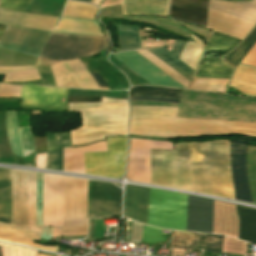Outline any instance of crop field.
I'll return each mask as SVG.
<instances>
[{
    "instance_id": "crop-field-31",
    "label": "crop field",
    "mask_w": 256,
    "mask_h": 256,
    "mask_svg": "<svg viewBox=\"0 0 256 256\" xmlns=\"http://www.w3.org/2000/svg\"><path fill=\"white\" fill-rule=\"evenodd\" d=\"M6 129L10 140L12 152L23 158L15 112H6Z\"/></svg>"
},
{
    "instance_id": "crop-field-19",
    "label": "crop field",
    "mask_w": 256,
    "mask_h": 256,
    "mask_svg": "<svg viewBox=\"0 0 256 256\" xmlns=\"http://www.w3.org/2000/svg\"><path fill=\"white\" fill-rule=\"evenodd\" d=\"M150 189L126 185L124 216L146 224Z\"/></svg>"
},
{
    "instance_id": "crop-field-2",
    "label": "crop field",
    "mask_w": 256,
    "mask_h": 256,
    "mask_svg": "<svg viewBox=\"0 0 256 256\" xmlns=\"http://www.w3.org/2000/svg\"><path fill=\"white\" fill-rule=\"evenodd\" d=\"M177 109L131 107L129 134L174 137L243 133L256 136V124L175 118Z\"/></svg>"
},
{
    "instance_id": "crop-field-15",
    "label": "crop field",
    "mask_w": 256,
    "mask_h": 256,
    "mask_svg": "<svg viewBox=\"0 0 256 256\" xmlns=\"http://www.w3.org/2000/svg\"><path fill=\"white\" fill-rule=\"evenodd\" d=\"M246 141L231 139L232 177L236 199L251 202L245 169Z\"/></svg>"
},
{
    "instance_id": "crop-field-45",
    "label": "crop field",
    "mask_w": 256,
    "mask_h": 256,
    "mask_svg": "<svg viewBox=\"0 0 256 256\" xmlns=\"http://www.w3.org/2000/svg\"><path fill=\"white\" fill-rule=\"evenodd\" d=\"M130 100H141V101H159V102H172L179 103L180 100L174 99H161V98H149V97H139V96H129Z\"/></svg>"
},
{
    "instance_id": "crop-field-13",
    "label": "crop field",
    "mask_w": 256,
    "mask_h": 256,
    "mask_svg": "<svg viewBox=\"0 0 256 256\" xmlns=\"http://www.w3.org/2000/svg\"><path fill=\"white\" fill-rule=\"evenodd\" d=\"M150 149L174 150V147L171 142H153L131 138L126 178L149 183Z\"/></svg>"
},
{
    "instance_id": "crop-field-25",
    "label": "crop field",
    "mask_w": 256,
    "mask_h": 256,
    "mask_svg": "<svg viewBox=\"0 0 256 256\" xmlns=\"http://www.w3.org/2000/svg\"><path fill=\"white\" fill-rule=\"evenodd\" d=\"M239 239L256 244V210L237 206Z\"/></svg>"
},
{
    "instance_id": "crop-field-4",
    "label": "crop field",
    "mask_w": 256,
    "mask_h": 256,
    "mask_svg": "<svg viewBox=\"0 0 256 256\" xmlns=\"http://www.w3.org/2000/svg\"><path fill=\"white\" fill-rule=\"evenodd\" d=\"M88 180L64 177V218H87ZM121 189L89 180L88 218L120 215Z\"/></svg>"
},
{
    "instance_id": "crop-field-40",
    "label": "crop field",
    "mask_w": 256,
    "mask_h": 256,
    "mask_svg": "<svg viewBox=\"0 0 256 256\" xmlns=\"http://www.w3.org/2000/svg\"><path fill=\"white\" fill-rule=\"evenodd\" d=\"M31 0H1L0 7L25 10Z\"/></svg>"
},
{
    "instance_id": "crop-field-6",
    "label": "crop field",
    "mask_w": 256,
    "mask_h": 256,
    "mask_svg": "<svg viewBox=\"0 0 256 256\" xmlns=\"http://www.w3.org/2000/svg\"><path fill=\"white\" fill-rule=\"evenodd\" d=\"M105 48L110 49L108 37L52 33L40 57L71 60L95 55Z\"/></svg>"
},
{
    "instance_id": "crop-field-10",
    "label": "crop field",
    "mask_w": 256,
    "mask_h": 256,
    "mask_svg": "<svg viewBox=\"0 0 256 256\" xmlns=\"http://www.w3.org/2000/svg\"><path fill=\"white\" fill-rule=\"evenodd\" d=\"M50 67L56 87L109 90L99 74H89L79 59L59 62Z\"/></svg>"
},
{
    "instance_id": "crop-field-21",
    "label": "crop field",
    "mask_w": 256,
    "mask_h": 256,
    "mask_svg": "<svg viewBox=\"0 0 256 256\" xmlns=\"http://www.w3.org/2000/svg\"><path fill=\"white\" fill-rule=\"evenodd\" d=\"M168 0H122L124 15L153 14L167 16Z\"/></svg>"
},
{
    "instance_id": "crop-field-43",
    "label": "crop field",
    "mask_w": 256,
    "mask_h": 256,
    "mask_svg": "<svg viewBox=\"0 0 256 256\" xmlns=\"http://www.w3.org/2000/svg\"><path fill=\"white\" fill-rule=\"evenodd\" d=\"M68 102H101V97L68 96Z\"/></svg>"
},
{
    "instance_id": "crop-field-8",
    "label": "crop field",
    "mask_w": 256,
    "mask_h": 256,
    "mask_svg": "<svg viewBox=\"0 0 256 256\" xmlns=\"http://www.w3.org/2000/svg\"><path fill=\"white\" fill-rule=\"evenodd\" d=\"M239 40L213 33L208 40L193 77L229 79L233 69L221 60Z\"/></svg>"
},
{
    "instance_id": "crop-field-7",
    "label": "crop field",
    "mask_w": 256,
    "mask_h": 256,
    "mask_svg": "<svg viewBox=\"0 0 256 256\" xmlns=\"http://www.w3.org/2000/svg\"><path fill=\"white\" fill-rule=\"evenodd\" d=\"M187 195L151 189L147 224L186 230Z\"/></svg>"
},
{
    "instance_id": "crop-field-50",
    "label": "crop field",
    "mask_w": 256,
    "mask_h": 256,
    "mask_svg": "<svg viewBox=\"0 0 256 256\" xmlns=\"http://www.w3.org/2000/svg\"><path fill=\"white\" fill-rule=\"evenodd\" d=\"M80 1H86V2H89L90 0H80Z\"/></svg>"
},
{
    "instance_id": "crop-field-30",
    "label": "crop field",
    "mask_w": 256,
    "mask_h": 256,
    "mask_svg": "<svg viewBox=\"0 0 256 256\" xmlns=\"http://www.w3.org/2000/svg\"><path fill=\"white\" fill-rule=\"evenodd\" d=\"M87 233V219H63L61 236L87 235ZM83 237L85 236H74L72 238Z\"/></svg>"
},
{
    "instance_id": "crop-field-27",
    "label": "crop field",
    "mask_w": 256,
    "mask_h": 256,
    "mask_svg": "<svg viewBox=\"0 0 256 256\" xmlns=\"http://www.w3.org/2000/svg\"><path fill=\"white\" fill-rule=\"evenodd\" d=\"M182 90L157 87V86H137L132 87L130 95H142V96H161V97H174L180 98Z\"/></svg>"
},
{
    "instance_id": "crop-field-33",
    "label": "crop field",
    "mask_w": 256,
    "mask_h": 256,
    "mask_svg": "<svg viewBox=\"0 0 256 256\" xmlns=\"http://www.w3.org/2000/svg\"><path fill=\"white\" fill-rule=\"evenodd\" d=\"M172 232L170 247H183L192 249L196 243L197 233L193 232Z\"/></svg>"
},
{
    "instance_id": "crop-field-47",
    "label": "crop field",
    "mask_w": 256,
    "mask_h": 256,
    "mask_svg": "<svg viewBox=\"0 0 256 256\" xmlns=\"http://www.w3.org/2000/svg\"><path fill=\"white\" fill-rule=\"evenodd\" d=\"M46 153L36 155V165L44 168Z\"/></svg>"
},
{
    "instance_id": "crop-field-48",
    "label": "crop field",
    "mask_w": 256,
    "mask_h": 256,
    "mask_svg": "<svg viewBox=\"0 0 256 256\" xmlns=\"http://www.w3.org/2000/svg\"><path fill=\"white\" fill-rule=\"evenodd\" d=\"M51 230H52V228L44 227L43 231H42L41 237L49 240L50 239Z\"/></svg>"
},
{
    "instance_id": "crop-field-46",
    "label": "crop field",
    "mask_w": 256,
    "mask_h": 256,
    "mask_svg": "<svg viewBox=\"0 0 256 256\" xmlns=\"http://www.w3.org/2000/svg\"><path fill=\"white\" fill-rule=\"evenodd\" d=\"M44 86H54L53 78L51 73L40 74Z\"/></svg>"
},
{
    "instance_id": "crop-field-16",
    "label": "crop field",
    "mask_w": 256,
    "mask_h": 256,
    "mask_svg": "<svg viewBox=\"0 0 256 256\" xmlns=\"http://www.w3.org/2000/svg\"><path fill=\"white\" fill-rule=\"evenodd\" d=\"M213 201L188 195L187 230L212 233Z\"/></svg>"
},
{
    "instance_id": "crop-field-49",
    "label": "crop field",
    "mask_w": 256,
    "mask_h": 256,
    "mask_svg": "<svg viewBox=\"0 0 256 256\" xmlns=\"http://www.w3.org/2000/svg\"><path fill=\"white\" fill-rule=\"evenodd\" d=\"M4 76H5V75H0V82H3V81H4Z\"/></svg>"
},
{
    "instance_id": "crop-field-42",
    "label": "crop field",
    "mask_w": 256,
    "mask_h": 256,
    "mask_svg": "<svg viewBox=\"0 0 256 256\" xmlns=\"http://www.w3.org/2000/svg\"><path fill=\"white\" fill-rule=\"evenodd\" d=\"M241 63H245L256 67V44L251 49V51L245 56V58L241 61Z\"/></svg>"
},
{
    "instance_id": "crop-field-32",
    "label": "crop field",
    "mask_w": 256,
    "mask_h": 256,
    "mask_svg": "<svg viewBox=\"0 0 256 256\" xmlns=\"http://www.w3.org/2000/svg\"><path fill=\"white\" fill-rule=\"evenodd\" d=\"M246 167L252 201L256 204V147L248 146Z\"/></svg>"
},
{
    "instance_id": "crop-field-26",
    "label": "crop field",
    "mask_w": 256,
    "mask_h": 256,
    "mask_svg": "<svg viewBox=\"0 0 256 256\" xmlns=\"http://www.w3.org/2000/svg\"><path fill=\"white\" fill-rule=\"evenodd\" d=\"M10 170L0 169V221L10 223Z\"/></svg>"
},
{
    "instance_id": "crop-field-36",
    "label": "crop field",
    "mask_w": 256,
    "mask_h": 256,
    "mask_svg": "<svg viewBox=\"0 0 256 256\" xmlns=\"http://www.w3.org/2000/svg\"><path fill=\"white\" fill-rule=\"evenodd\" d=\"M20 140L24 154L34 152V140L31 127L19 128Z\"/></svg>"
},
{
    "instance_id": "crop-field-12",
    "label": "crop field",
    "mask_w": 256,
    "mask_h": 256,
    "mask_svg": "<svg viewBox=\"0 0 256 256\" xmlns=\"http://www.w3.org/2000/svg\"><path fill=\"white\" fill-rule=\"evenodd\" d=\"M44 226L61 227L63 218V177L44 175ZM61 229L53 228L52 236L59 237Z\"/></svg>"
},
{
    "instance_id": "crop-field-20",
    "label": "crop field",
    "mask_w": 256,
    "mask_h": 256,
    "mask_svg": "<svg viewBox=\"0 0 256 256\" xmlns=\"http://www.w3.org/2000/svg\"><path fill=\"white\" fill-rule=\"evenodd\" d=\"M47 156L45 168L63 171V147L72 146L70 132L47 133Z\"/></svg>"
},
{
    "instance_id": "crop-field-34",
    "label": "crop field",
    "mask_w": 256,
    "mask_h": 256,
    "mask_svg": "<svg viewBox=\"0 0 256 256\" xmlns=\"http://www.w3.org/2000/svg\"><path fill=\"white\" fill-rule=\"evenodd\" d=\"M41 79L36 69L11 71L6 73L7 82H26Z\"/></svg>"
},
{
    "instance_id": "crop-field-5",
    "label": "crop field",
    "mask_w": 256,
    "mask_h": 256,
    "mask_svg": "<svg viewBox=\"0 0 256 256\" xmlns=\"http://www.w3.org/2000/svg\"><path fill=\"white\" fill-rule=\"evenodd\" d=\"M69 111L81 112L82 127L71 129L73 146L103 140L104 136L127 135L126 100L102 97V103H69Z\"/></svg>"
},
{
    "instance_id": "crop-field-3",
    "label": "crop field",
    "mask_w": 256,
    "mask_h": 256,
    "mask_svg": "<svg viewBox=\"0 0 256 256\" xmlns=\"http://www.w3.org/2000/svg\"><path fill=\"white\" fill-rule=\"evenodd\" d=\"M36 173L11 170V225L0 223V239L56 252L58 248L34 244L43 227L35 226Z\"/></svg>"
},
{
    "instance_id": "crop-field-38",
    "label": "crop field",
    "mask_w": 256,
    "mask_h": 256,
    "mask_svg": "<svg viewBox=\"0 0 256 256\" xmlns=\"http://www.w3.org/2000/svg\"><path fill=\"white\" fill-rule=\"evenodd\" d=\"M222 241H223V236L207 234L206 251L221 253Z\"/></svg>"
},
{
    "instance_id": "crop-field-9",
    "label": "crop field",
    "mask_w": 256,
    "mask_h": 256,
    "mask_svg": "<svg viewBox=\"0 0 256 256\" xmlns=\"http://www.w3.org/2000/svg\"><path fill=\"white\" fill-rule=\"evenodd\" d=\"M108 152L84 153L86 173L118 178L123 176L127 137L106 138Z\"/></svg>"
},
{
    "instance_id": "crop-field-24",
    "label": "crop field",
    "mask_w": 256,
    "mask_h": 256,
    "mask_svg": "<svg viewBox=\"0 0 256 256\" xmlns=\"http://www.w3.org/2000/svg\"><path fill=\"white\" fill-rule=\"evenodd\" d=\"M55 32L103 36L95 20L62 17Z\"/></svg>"
},
{
    "instance_id": "crop-field-11",
    "label": "crop field",
    "mask_w": 256,
    "mask_h": 256,
    "mask_svg": "<svg viewBox=\"0 0 256 256\" xmlns=\"http://www.w3.org/2000/svg\"><path fill=\"white\" fill-rule=\"evenodd\" d=\"M50 33L6 26L0 47L39 57Z\"/></svg>"
},
{
    "instance_id": "crop-field-39",
    "label": "crop field",
    "mask_w": 256,
    "mask_h": 256,
    "mask_svg": "<svg viewBox=\"0 0 256 256\" xmlns=\"http://www.w3.org/2000/svg\"><path fill=\"white\" fill-rule=\"evenodd\" d=\"M22 86L0 84V98L20 97Z\"/></svg>"
},
{
    "instance_id": "crop-field-1",
    "label": "crop field",
    "mask_w": 256,
    "mask_h": 256,
    "mask_svg": "<svg viewBox=\"0 0 256 256\" xmlns=\"http://www.w3.org/2000/svg\"><path fill=\"white\" fill-rule=\"evenodd\" d=\"M176 151H150V183L234 197L229 140L175 143Z\"/></svg>"
},
{
    "instance_id": "crop-field-41",
    "label": "crop field",
    "mask_w": 256,
    "mask_h": 256,
    "mask_svg": "<svg viewBox=\"0 0 256 256\" xmlns=\"http://www.w3.org/2000/svg\"><path fill=\"white\" fill-rule=\"evenodd\" d=\"M19 110V99H0V111Z\"/></svg>"
},
{
    "instance_id": "crop-field-14",
    "label": "crop field",
    "mask_w": 256,
    "mask_h": 256,
    "mask_svg": "<svg viewBox=\"0 0 256 256\" xmlns=\"http://www.w3.org/2000/svg\"><path fill=\"white\" fill-rule=\"evenodd\" d=\"M112 55L137 72L152 85H166L184 88L135 51L115 53Z\"/></svg>"
},
{
    "instance_id": "crop-field-23",
    "label": "crop field",
    "mask_w": 256,
    "mask_h": 256,
    "mask_svg": "<svg viewBox=\"0 0 256 256\" xmlns=\"http://www.w3.org/2000/svg\"><path fill=\"white\" fill-rule=\"evenodd\" d=\"M184 44L185 43L183 42L177 41L170 52L163 47L148 49V51L186 77L188 80H191L194 70L178 59Z\"/></svg>"
},
{
    "instance_id": "crop-field-18",
    "label": "crop field",
    "mask_w": 256,
    "mask_h": 256,
    "mask_svg": "<svg viewBox=\"0 0 256 256\" xmlns=\"http://www.w3.org/2000/svg\"><path fill=\"white\" fill-rule=\"evenodd\" d=\"M67 89H52L39 86H23L21 105L66 107L61 98H65Z\"/></svg>"
},
{
    "instance_id": "crop-field-37",
    "label": "crop field",
    "mask_w": 256,
    "mask_h": 256,
    "mask_svg": "<svg viewBox=\"0 0 256 256\" xmlns=\"http://www.w3.org/2000/svg\"><path fill=\"white\" fill-rule=\"evenodd\" d=\"M42 180H43V174L37 173V181H36V212H37V222H36V225H40V226H43Z\"/></svg>"
},
{
    "instance_id": "crop-field-35",
    "label": "crop field",
    "mask_w": 256,
    "mask_h": 256,
    "mask_svg": "<svg viewBox=\"0 0 256 256\" xmlns=\"http://www.w3.org/2000/svg\"><path fill=\"white\" fill-rule=\"evenodd\" d=\"M162 229L144 226L142 241L147 244H157L167 240V234L162 233Z\"/></svg>"
},
{
    "instance_id": "crop-field-17",
    "label": "crop field",
    "mask_w": 256,
    "mask_h": 256,
    "mask_svg": "<svg viewBox=\"0 0 256 256\" xmlns=\"http://www.w3.org/2000/svg\"><path fill=\"white\" fill-rule=\"evenodd\" d=\"M209 0H172L170 16L178 22L204 27Z\"/></svg>"
},
{
    "instance_id": "crop-field-22",
    "label": "crop field",
    "mask_w": 256,
    "mask_h": 256,
    "mask_svg": "<svg viewBox=\"0 0 256 256\" xmlns=\"http://www.w3.org/2000/svg\"><path fill=\"white\" fill-rule=\"evenodd\" d=\"M107 151L105 141L79 148H64V171L85 173L83 152Z\"/></svg>"
},
{
    "instance_id": "crop-field-29",
    "label": "crop field",
    "mask_w": 256,
    "mask_h": 256,
    "mask_svg": "<svg viewBox=\"0 0 256 256\" xmlns=\"http://www.w3.org/2000/svg\"><path fill=\"white\" fill-rule=\"evenodd\" d=\"M97 8L91 4L68 1L62 15L74 18L95 19Z\"/></svg>"
},
{
    "instance_id": "crop-field-28",
    "label": "crop field",
    "mask_w": 256,
    "mask_h": 256,
    "mask_svg": "<svg viewBox=\"0 0 256 256\" xmlns=\"http://www.w3.org/2000/svg\"><path fill=\"white\" fill-rule=\"evenodd\" d=\"M256 43V27L251 31V33L246 37V39L241 43V45L236 48L230 55H228L224 60L231 65L236 67V65L243 59V57L250 51V49Z\"/></svg>"
},
{
    "instance_id": "crop-field-44",
    "label": "crop field",
    "mask_w": 256,
    "mask_h": 256,
    "mask_svg": "<svg viewBox=\"0 0 256 256\" xmlns=\"http://www.w3.org/2000/svg\"><path fill=\"white\" fill-rule=\"evenodd\" d=\"M19 127L30 126L29 113L16 112Z\"/></svg>"
}]
</instances>
